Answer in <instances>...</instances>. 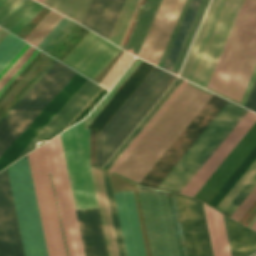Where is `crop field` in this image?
Wrapping results in <instances>:
<instances>
[{"label": "crop field", "instance_id": "crop-field-29", "mask_svg": "<svg viewBox=\"0 0 256 256\" xmlns=\"http://www.w3.org/2000/svg\"><path fill=\"white\" fill-rule=\"evenodd\" d=\"M38 51L39 50L26 43L15 57L5 66V68L0 72V93Z\"/></svg>", "mask_w": 256, "mask_h": 256}, {"label": "crop field", "instance_id": "crop-field-47", "mask_svg": "<svg viewBox=\"0 0 256 256\" xmlns=\"http://www.w3.org/2000/svg\"><path fill=\"white\" fill-rule=\"evenodd\" d=\"M96 130L90 129V165H95Z\"/></svg>", "mask_w": 256, "mask_h": 256}, {"label": "crop field", "instance_id": "crop-field-1", "mask_svg": "<svg viewBox=\"0 0 256 256\" xmlns=\"http://www.w3.org/2000/svg\"><path fill=\"white\" fill-rule=\"evenodd\" d=\"M188 256H248L256 252V233L187 196L176 194Z\"/></svg>", "mask_w": 256, "mask_h": 256}, {"label": "crop field", "instance_id": "crop-field-35", "mask_svg": "<svg viewBox=\"0 0 256 256\" xmlns=\"http://www.w3.org/2000/svg\"><path fill=\"white\" fill-rule=\"evenodd\" d=\"M181 81L182 79L180 78L176 80V82L171 86V88L166 92V94L161 98V100L156 104V106L151 110V112L146 116V118L141 122V124L136 128V130L131 134V136L126 140V142L121 146V148L116 152V154L111 158V160L106 164L103 169L108 170L112 166V164L117 160V158L122 154V152L127 148V146L132 142V140L137 136V134L157 112V110L162 106V104L181 83Z\"/></svg>", "mask_w": 256, "mask_h": 256}, {"label": "crop field", "instance_id": "crop-field-31", "mask_svg": "<svg viewBox=\"0 0 256 256\" xmlns=\"http://www.w3.org/2000/svg\"><path fill=\"white\" fill-rule=\"evenodd\" d=\"M91 0H45L44 5L82 23Z\"/></svg>", "mask_w": 256, "mask_h": 256}, {"label": "crop field", "instance_id": "crop-field-24", "mask_svg": "<svg viewBox=\"0 0 256 256\" xmlns=\"http://www.w3.org/2000/svg\"><path fill=\"white\" fill-rule=\"evenodd\" d=\"M125 0H92L82 25L109 39Z\"/></svg>", "mask_w": 256, "mask_h": 256}, {"label": "crop field", "instance_id": "crop-field-54", "mask_svg": "<svg viewBox=\"0 0 256 256\" xmlns=\"http://www.w3.org/2000/svg\"><path fill=\"white\" fill-rule=\"evenodd\" d=\"M250 228L256 230V221L253 223V225Z\"/></svg>", "mask_w": 256, "mask_h": 256}, {"label": "crop field", "instance_id": "crop-field-27", "mask_svg": "<svg viewBox=\"0 0 256 256\" xmlns=\"http://www.w3.org/2000/svg\"><path fill=\"white\" fill-rule=\"evenodd\" d=\"M161 0H146L141 10L139 18L125 48L129 53L138 55L140 47L144 41L147 31L155 16Z\"/></svg>", "mask_w": 256, "mask_h": 256}, {"label": "crop field", "instance_id": "crop-field-14", "mask_svg": "<svg viewBox=\"0 0 256 256\" xmlns=\"http://www.w3.org/2000/svg\"><path fill=\"white\" fill-rule=\"evenodd\" d=\"M138 188L152 255L179 256L166 191Z\"/></svg>", "mask_w": 256, "mask_h": 256}, {"label": "crop field", "instance_id": "crop-field-17", "mask_svg": "<svg viewBox=\"0 0 256 256\" xmlns=\"http://www.w3.org/2000/svg\"><path fill=\"white\" fill-rule=\"evenodd\" d=\"M185 0H162L139 57L158 65Z\"/></svg>", "mask_w": 256, "mask_h": 256}, {"label": "crop field", "instance_id": "crop-field-16", "mask_svg": "<svg viewBox=\"0 0 256 256\" xmlns=\"http://www.w3.org/2000/svg\"><path fill=\"white\" fill-rule=\"evenodd\" d=\"M87 78L75 74L0 157V170L11 164Z\"/></svg>", "mask_w": 256, "mask_h": 256}, {"label": "crop field", "instance_id": "crop-field-50", "mask_svg": "<svg viewBox=\"0 0 256 256\" xmlns=\"http://www.w3.org/2000/svg\"><path fill=\"white\" fill-rule=\"evenodd\" d=\"M255 94H256V80H255V82H254V84H253V87H252V89H251V91H250V94H249V96H248V99H247V101H246V103H245V107L250 108V106H251V104H252V101H253V99H254Z\"/></svg>", "mask_w": 256, "mask_h": 256}, {"label": "crop field", "instance_id": "crop-field-43", "mask_svg": "<svg viewBox=\"0 0 256 256\" xmlns=\"http://www.w3.org/2000/svg\"><path fill=\"white\" fill-rule=\"evenodd\" d=\"M76 25V23L70 21L64 29L50 42V44L43 50L46 53H50L55 46L69 33V31Z\"/></svg>", "mask_w": 256, "mask_h": 256}, {"label": "crop field", "instance_id": "crop-field-25", "mask_svg": "<svg viewBox=\"0 0 256 256\" xmlns=\"http://www.w3.org/2000/svg\"><path fill=\"white\" fill-rule=\"evenodd\" d=\"M109 256H119L100 168L90 166Z\"/></svg>", "mask_w": 256, "mask_h": 256}, {"label": "crop field", "instance_id": "crop-field-56", "mask_svg": "<svg viewBox=\"0 0 256 256\" xmlns=\"http://www.w3.org/2000/svg\"><path fill=\"white\" fill-rule=\"evenodd\" d=\"M6 0H0V6L5 2Z\"/></svg>", "mask_w": 256, "mask_h": 256}, {"label": "crop field", "instance_id": "crop-field-4", "mask_svg": "<svg viewBox=\"0 0 256 256\" xmlns=\"http://www.w3.org/2000/svg\"><path fill=\"white\" fill-rule=\"evenodd\" d=\"M255 64L256 0H245L208 87L239 102Z\"/></svg>", "mask_w": 256, "mask_h": 256}, {"label": "crop field", "instance_id": "crop-field-22", "mask_svg": "<svg viewBox=\"0 0 256 256\" xmlns=\"http://www.w3.org/2000/svg\"><path fill=\"white\" fill-rule=\"evenodd\" d=\"M127 256H145L131 191L114 192Z\"/></svg>", "mask_w": 256, "mask_h": 256}, {"label": "crop field", "instance_id": "crop-field-52", "mask_svg": "<svg viewBox=\"0 0 256 256\" xmlns=\"http://www.w3.org/2000/svg\"><path fill=\"white\" fill-rule=\"evenodd\" d=\"M9 32L3 30L0 28V42L4 39V37L8 34Z\"/></svg>", "mask_w": 256, "mask_h": 256}, {"label": "crop field", "instance_id": "crop-field-51", "mask_svg": "<svg viewBox=\"0 0 256 256\" xmlns=\"http://www.w3.org/2000/svg\"><path fill=\"white\" fill-rule=\"evenodd\" d=\"M140 2H141V0H139V2H138V5H137V7H136V9H135V12H134V14H133V16H132V19H131V21H130V23H129V26H128V28H127V31H126V33H125V35H124V38H123L121 44H123V42H124V40H125V37H126V35H127V33H128V30H129V28H130V26H131V23H132V21H133V19H134V16H135L136 12H137V9H138V7H139V5H140ZM121 44H120L119 47H122Z\"/></svg>", "mask_w": 256, "mask_h": 256}, {"label": "crop field", "instance_id": "crop-field-19", "mask_svg": "<svg viewBox=\"0 0 256 256\" xmlns=\"http://www.w3.org/2000/svg\"><path fill=\"white\" fill-rule=\"evenodd\" d=\"M101 88L87 79L17 158L34 149L37 139L49 140L63 131Z\"/></svg>", "mask_w": 256, "mask_h": 256}, {"label": "crop field", "instance_id": "crop-field-28", "mask_svg": "<svg viewBox=\"0 0 256 256\" xmlns=\"http://www.w3.org/2000/svg\"><path fill=\"white\" fill-rule=\"evenodd\" d=\"M42 7L33 0H20L0 25L2 24L1 27L17 35Z\"/></svg>", "mask_w": 256, "mask_h": 256}, {"label": "crop field", "instance_id": "crop-field-46", "mask_svg": "<svg viewBox=\"0 0 256 256\" xmlns=\"http://www.w3.org/2000/svg\"><path fill=\"white\" fill-rule=\"evenodd\" d=\"M56 62L54 60L50 66L40 75V77L31 85V87L21 96V98L11 107V109L2 117L0 120V123L8 116V114L17 106V104L26 96V94L35 86V84L44 76V74L53 66V64Z\"/></svg>", "mask_w": 256, "mask_h": 256}, {"label": "crop field", "instance_id": "crop-field-53", "mask_svg": "<svg viewBox=\"0 0 256 256\" xmlns=\"http://www.w3.org/2000/svg\"><path fill=\"white\" fill-rule=\"evenodd\" d=\"M250 109L256 112V97H255V99L253 101V104H252Z\"/></svg>", "mask_w": 256, "mask_h": 256}, {"label": "crop field", "instance_id": "crop-field-39", "mask_svg": "<svg viewBox=\"0 0 256 256\" xmlns=\"http://www.w3.org/2000/svg\"><path fill=\"white\" fill-rule=\"evenodd\" d=\"M26 42L8 34L0 43V70L10 61V59L21 49Z\"/></svg>", "mask_w": 256, "mask_h": 256}, {"label": "crop field", "instance_id": "crop-field-11", "mask_svg": "<svg viewBox=\"0 0 256 256\" xmlns=\"http://www.w3.org/2000/svg\"><path fill=\"white\" fill-rule=\"evenodd\" d=\"M255 145L256 122L234 147V149L229 153V155L220 164V166L215 170V172L210 176V178L205 182V184L200 188V190L195 194L194 198L208 204ZM255 158L256 146L208 205L215 208L216 205L221 201V199L250 166V164L255 160Z\"/></svg>", "mask_w": 256, "mask_h": 256}, {"label": "crop field", "instance_id": "crop-field-18", "mask_svg": "<svg viewBox=\"0 0 256 256\" xmlns=\"http://www.w3.org/2000/svg\"><path fill=\"white\" fill-rule=\"evenodd\" d=\"M0 256H25L6 169L0 173Z\"/></svg>", "mask_w": 256, "mask_h": 256}, {"label": "crop field", "instance_id": "crop-field-12", "mask_svg": "<svg viewBox=\"0 0 256 256\" xmlns=\"http://www.w3.org/2000/svg\"><path fill=\"white\" fill-rule=\"evenodd\" d=\"M69 256H83L60 137L44 144Z\"/></svg>", "mask_w": 256, "mask_h": 256}, {"label": "crop field", "instance_id": "crop-field-13", "mask_svg": "<svg viewBox=\"0 0 256 256\" xmlns=\"http://www.w3.org/2000/svg\"><path fill=\"white\" fill-rule=\"evenodd\" d=\"M226 102L212 94L139 184L156 188Z\"/></svg>", "mask_w": 256, "mask_h": 256}, {"label": "crop field", "instance_id": "crop-field-45", "mask_svg": "<svg viewBox=\"0 0 256 256\" xmlns=\"http://www.w3.org/2000/svg\"><path fill=\"white\" fill-rule=\"evenodd\" d=\"M189 2H190V0H186V3H185V5H184V7H183V10H182L181 14H180V17H179V19H178V21H177V23H176V26H175V28H174V30H173V33H172V35H171V37H170V40H169L168 44H167V47H166V49H165V51H164V54H163V56H162V58H161V61H160L159 65H158L159 67H162V65H163V63H164V60H165V58H166V56H167V53H168V51H169V49H170V46H171V44H172V42H173V39H174L175 35H176V32H177V30H178V28H179V25H180V23H181V21H182V18H183V16H184L185 12H186V9H187V7H188V5H189Z\"/></svg>", "mask_w": 256, "mask_h": 256}, {"label": "crop field", "instance_id": "crop-field-2", "mask_svg": "<svg viewBox=\"0 0 256 256\" xmlns=\"http://www.w3.org/2000/svg\"><path fill=\"white\" fill-rule=\"evenodd\" d=\"M75 208L98 207L84 121L60 134ZM85 256H108L98 208L75 209Z\"/></svg>", "mask_w": 256, "mask_h": 256}, {"label": "crop field", "instance_id": "crop-field-38", "mask_svg": "<svg viewBox=\"0 0 256 256\" xmlns=\"http://www.w3.org/2000/svg\"><path fill=\"white\" fill-rule=\"evenodd\" d=\"M138 0H126L109 41L119 45Z\"/></svg>", "mask_w": 256, "mask_h": 256}, {"label": "crop field", "instance_id": "crop-field-40", "mask_svg": "<svg viewBox=\"0 0 256 256\" xmlns=\"http://www.w3.org/2000/svg\"><path fill=\"white\" fill-rule=\"evenodd\" d=\"M187 81L183 80L182 83L177 87V89L172 93V95L167 99L163 106L158 110V112L153 116V118L148 122L144 129L139 133V135L134 139V141L129 145L125 152L120 156V158L115 162V164L110 168L109 172H113L114 169L119 165V163L124 159V157L129 153V151L134 147V145L139 141V139L144 135V133L149 129V127L154 123V121L159 117V115L164 111V109L169 105V103L174 99V97L179 93V91L184 87ZM107 170V171H108Z\"/></svg>", "mask_w": 256, "mask_h": 256}, {"label": "crop field", "instance_id": "crop-field-10", "mask_svg": "<svg viewBox=\"0 0 256 256\" xmlns=\"http://www.w3.org/2000/svg\"><path fill=\"white\" fill-rule=\"evenodd\" d=\"M28 157L48 254L49 256H68L51 179L48 176L49 171L44 147L41 146L34 150L28 154Z\"/></svg>", "mask_w": 256, "mask_h": 256}, {"label": "crop field", "instance_id": "crop-field-49", "mask_svg": "<svg viewBox=\"0 0 256 256\" xmlns=\"http://www.w3.org/2000/svg\"><path fill=\"white\" fill-rule=\"evenodd\" d=\"M255 77H256V67H255V70H254V72H253V75H252V77H251V79H250V82H249V84H248V87H247V89H246V91H245V94H244V96H243V99H242V101H241V105H244V103H245V101H246V98H247V96H248V94H249V91H250V89H251V87H252V84H253V82H254V80H255ZM248 99V98H247ZM245 106V105H244Z\"/></svg>", "mask_w": 256, "mask_h": 256}, {"label": "crop field", "instance_id": "crop-field-26", "mask_svg": "<svg viewBox=\"0 0 256 256\" xmlns=\"http://www.w3.org/2000/svg\"><path fill=\"white\" fill-rule=\"evenodd\" d=\"M256 171V160L251 164L247 171L242 175V177L237 181V183L232 187V189L227 193V195L222 199V201L217 205L215 209L219 212L228 206L232 199L237 195V193L242 189L246 182L251 178V176ZM256 185V173L247 182L243 189L238 193L234 200L229 204V206L224 210V214L231 216V214L236 210L240 203L245 199V197L250 193V191Z\"/></svg>", "mask_w": 256, "mask_h": 256}, {"label": "crop field", "instance_id": "crop-field-3", "mask_svg": "<svg viewBox=\"0 0 256 256\" xmlns=\"http://www.w3.org/2000/svg\"><path fill=\"white\" fill-rule=\"evenodd\" d=\"M208 93H211L191 84ZM186 84L115 172L137 182L146 174L161 154L167 149L186 124L196 114L210 95ZM113 174L125 178L117 173ZM132 181L137 184V182Z\"/></svg>", "mask_w": 256, "mask_h": 256}, {"label": "crop field", "instance_id": "crop-field-20", "mask_svg": "<svg viewBox=\"0 0 256 256\" xmlns=\"http://www.w3.org/2000/svg\"><path fill=\"white\" fill-rule=\"evenodd\" d=\"M256 121V114L248 111L187 186L182 190L181 194L193 197L219 164L224 160L228 153L248 131V129Z\"/></svg>", "mask_w": 256, "mask_h": 256}, {"label": "crop field", "instance_id": "crop-field-7", "mask_svg": "<svg viewBox=\"0 0 256 256\" xmlns=\"http://www.w3.org/2000/svg\"><path fill=\"white\" fill-rule=\"evenodd\" d=\"M60 62L45 74L0 125V156L75 74Z\"/></svg>", "mask_w": 256, "mask_h": 256}, {"label": "crop field", "instance_id": "crop-field-6", "mask_svg": "<svg viewBox=\"0 0 256 256\" xmlns=\"http://www.w3.org/2000/svg\"><path fill=\"white\" fill-rule=\"evenodd\" d=\"M246 112L228 101L157 188L180 193Z\"/></svg>", "mask_w": 256, "mask_h": 256}, {"label": "crop field", "instance_id": "crop-field-44", "mask_svg": "<svg viewBox=\"0 0 256 256\" xmlns=\"http://www.w3.org/2000/svg\"><path fill=\"white\" fill-rule=\"evenodd\" d=\"M69 21L70 20H68L67 18L64 17L58 23V25L43 39V41L37 47L43 50Z\"/></svg>", "mask_w": 256, "mask_h": 256}, {"label": "crop field", "instance_id": "crop-field-37", "mask_svg": "<svg viewBox=\"0 0 256 256\" xmlns=\"http://www.w3.org/2000/svg\"><path fill=\"white\" fill-rule=\"evenodd\" d=\"M208 1L209 0H202L201 3H200V6H199V8L197 10V13H196V15L194 17V20H193L192 24H191V27H190V29L188 31V34H187V36L185 38V41H184L183 45H182L180 53H179V55L177 57V60H176V62L174 64V67H173V69L171 71L172 73H174L176 75H177V73H178V71L180 69V66H181V64L183 62V59H184V57L186 55V52H187V50L189 48V45H190L191 41H192V38H193V36L195 34V31H196V29L198 27V24H199V22H200V20L202 18V15H203V13L205 11V8H206V6L208 4Z\"/></svg>", "mask_w": 256, "mask_h": 256}, {"label": "crop field", "instance_id": "crop-field-21", "mask_svg": "<svg viewBox=\"0 0 256 256\" xmlns=\"http://www.w3.org/2000/svg\"><path fill=\"white\" fill-rule=\"evenodd\" d=\"M54 59L38 52L0 94V119Z\"/></svg>", "mask_w": 256, "mask_h": 256}, {"label": "crop field", "instance_id": "crop-field-55", "mask_svg": "<svg viewBox=\"0 0 256 256\" xmlns=\"http://www.w3.org/2000/svg\"><path fill=\"white\" fill-rule=\"evenodd\" d=\"M253 219V218H252ZM256 220V216L254 217V219L249 223L248 227L251 226V224Z\"/></svg>", "mask_w": 256, "mask_h": 256}, {"label": "crop field", "instance_id": "crop-field-32", "mask_svg": "<svg viewBox=\"0 0 256 256\" xmlns=\"http://www.w3.org/2000/svg\"><path fill=\"white\" fill-rule=\"evenodd\" d=\"M218 1L219 0H211V2H210V5H209V7L207 9V12H206V14L204 16V19H203L202 23H201V26H200V28H199V30L197 32V35H196V37L194 39V42H193V44L191 46V49H190V51L188 53V56H187V58L185 60V63L183 65V67H182V70H181V72L179 74V76H181L183 78H186V76L188 74V71H189V69L191 67V64H192V62L194 60L196 52H197V50L199 48V45H200V43L202 41V38H203V36L205 34V31H206V29L208 27V24H209V22L211 20V17H212V15L214 13V10H215V8L217 6Z\"/></svg>", "mask_w": 256, "mask_h": 256}, {"label": "crop field", "instance_id": "crop-field-8", "mask_svg": "<svg viewBox=\"0 0 256 256\" xmlns=\"http://www.w3.org/2000/svg\"><path fill=\"white\" fill-rule=\"evenodd\" d=\"M26 256H48L27 156L7 167Z\"/></svg>", "mask_w": 256, "mask_h": 256}, {"label": "crop field", "instance_id": "crop-field-57", "mask_svg": "<svg viewBox=\"0 0 256 256\" xmlns=\"http://www.w3.org/2000/svg\"><path fill=\"white\" fill-rule=\"evenodd\" d=\"M37 1L40 2V3H43L44 0H37Z\"/></svg>", "mask_w": 256, "mask_h": 256}, {"label": "crop field", "instance_id": "crop-field-5", "mask_svg": "<svg viewBox=\"0 0 256 256\" xmlns=\"http://www.w3.org/2000/svg\"><path fill=\"white\" fill-rule=\"evenodd\" d=\"M156 67L98 135L97 165L101 168L175 80Z\"/></svg>", "mask_w": 256, "mask_h": 256}, {"label": "crop field", "instance_id": "crop-field-15", "mask_svg": "<svg viewBox=\"0 0 256 256\" xmlns=\"http://www.w3.org/2000/svg\"><path fill=\"white\" fill-rule=\"evenodd\" d=\"M119 51V48L89 31L62 61L94 79Z\"/></svg>", "mask_w": 256, "mask_h": 256}, {"label": "crop field", "instance_id": "crop-field-23", "mask_svg": "<svg viewBox=\"0 0 256 256\" xmlns=\"http://www.w3.org/2000/svg\"><path fill=\"white\" fill-rule=\"evenodd\" d=\"M153 66L142 61L88 127L98 128L99 134L137 86L152 70Z\"/></svg>", "mask_w": 256, "mask_h": 256}, {"label": "crop field", "instance_id": "crop-field-33", "mask_svg": "<svg viewBox=\"0 0 256 256\" xmlns=\"http://www.w3.org/2000/svg\"><path fill=\"white\" fill-rule=\"evenodd\" d=\"M101 171H102V175H103L104 185H105V189H106V194H107V199H108L109 208H110V212H111V217H112V222H113V226H114V231H115V236H116V240H117L119 254H120V256H126L122 233H121V228H120V223H119V218H118L115 199H114V194H113V189H112L111 180H110V175L108 172H106L102 169H101Z\"/></svg>", "mask_w": 256, "mask_h": 256}, {"label": "crop field", "instance_id": "crop-field-41", "mask_svg": "<svg viewBox=\"0 0 256 256\" xmlns=\"http://www.w3.org/2000/svg\"><path fill=\"white\" fill-rule=\"evenodd\" d=\"M141 61V60H140ZM138 60H134V62L130 65L127 71L123 74V76L119 79L116 85L112 88V90L106 95V97L99 103V105L91 112V114L86 118L87 126L93 120V118L98 114V112L103 108V106L108 102V100L113 96V94L118 90V88L123 84V82L128 78V76L133 72V70L140 63Z\"/></svg>", "mask_w": 256, "mask_h": 256}, {"label": "crop field", "instance_id": "crop-field-36", "mask_svg": "<svg viewBox=\"0 0 256 256\" xmlns=\"http://www.w3.org/2000/svg\"><path fill=\"white\" fill-rule=\"evenodd\" d=\"M88 31L77 24L49 55L61 61Z\"/></svg>", "mask_w": 256, "mask_h": 256}, {"label": "crop field", "instance_id": "crop-field-9", "mask_svg": "<svg viewBox=\"0 0 256 256\" xmlns=\"http://www.w3.org/2000/svg\"><path fill=\"white\" fill-rule=\"evenodd\" d=\"M243 0H220L187 80L207 88Z\"/></svg>", "mask_w": 256, "mask_h": 256}, {"label": "crop field", "instance_id": "crop-field-34", "mask_svg": "<svg viewBox=\"0 0 256 256\" xmlns=\"http://www.w3.org/2000/svg\"><path fill=\"white\" fill-rule=\"evenodd\" d=\"M62 18L63 16L51 10L24 40L36 47Z\"/></svg>", "mask_w": 256, "mask_h": 256}, {"label": "crop field", "instance_id": "crop-field-48", "mask_svg": "<svg viewBox=\"0 0 256 256\" xmlns=\"http://www.w3.org/2000/svg\"><path fill=\"white\" fill-rule=\"evenodd\" d=\"M19 0H7L0 7V21L4 18V16L17 4Z\"/></svg>", "mask_w": 256, "mask_h": 256}, {"label": "crop field", "instance_id": "crop-field-42", "mask_svg": "<svg viewBox=\"0 0 256 256\" xmlns=\"http://www.w3.org/2000/svg\"><path fill=\"white\" fill-rule=\"evenodd\" d=\"M256 200V186L251 191V193L246 197V199L242 202V204L237 208V210L232 214L231 218L239 221L240 218L245 214V212L249 209V207Z\"/></svg>", "mask_w": 256, "mask_h": 256}, {"label": "crop field", "instance_id": "crop-field-30", "mask_svg": "<svg viewBox=\"0 0 256 256\" xmlns=\"http://www.w3.org/2000/svg\"><path fill=\"white\" fill-rule=\"evenodd\" d=\"M200 1L201 0H191L184 19L171 46V49L168 53V56L165 60V63L162 67L163 69L171 71Z\"/></svg>", "mask_w": 256, "mask_h": 256}]
</instances>
